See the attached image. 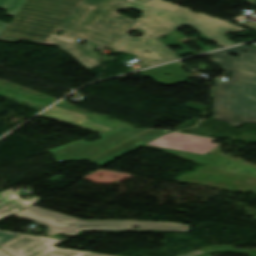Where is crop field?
Masks as SVG:
<instances>
[{
	"instance_id": "crop-field-1",
	"label": "crop field",
	"mask_w": 256,
	"mask_h": 256,
	"mask_svg": "<svg viewBox=\"0 0 256 256\" xmlns=\"http://www.w3.org/2000/svg\"><path fill=\"white\" fill-rule=\"evenodd\" d=\"M125 8L144 13L132 20L116 12ZM187 24L220 47L234 44L222 34L246 31L161 0H28L1 34L0 41L24 39L56 45L87 68L100 66L96 52L74 42L82 37L113 50L136 54L148 67L180 59L156 38ZM58 29L65 32L60 37L55 35ZM127 30L143 32V36L130 37Z\"/></svg>"
},
{
	"instance_id": "crop-field-2",
	"label": "crop field",
	"mask_w": 256,
	"mask_h": 256,
	"mask_svg": "<svg viewBox=\"0 0 256 256\" xmlns=\"http://www.w3.org/2000/svg\"><path fill=\"white\" fill-rule=\"evenodd\" d=\"M231 53L238 57L228 56ZM208 55L233 74L226 82L214 83L213 118L230 126L256 122V48L240 45Z\"/></svg>"
},
{
	"instance_id": "crop-field-3",
	"label": "crop field",
	"mask_w": 256,
	"mask_h": 256,
	"mask_svg": "<svg viewBox=\"0 0 256 256\" xmlns=\"http://www.w3.org/2000/svg\"><path fill=\"white\" fill-rule=\"evenodd\" d=\"M14 216L44 224L50 228L47 234L57 232L74 236L80 230H171L188 231V225L180 223L140 222V221H83L46 210L29 207ZM141 226V229H131Z\"/></svg>"
},
{
	"instance_id": "crop-field-4",
	"label": "crop field",
	"mask_w": 256,
	"mask_h": 256,
	"mask_svg": "<svg viewBox=\"0 0 256 256\" xmlns=\"http://www.w3.org/2000/svg\"><path fill=\"white\" fill-rule=\"evenodd\" d=\"M145 130L147 129H112L100 134V140L90 143L80 140L48 152L55 155L57 162L91 159Z\"/></svg>"
},
{
	"instance_id": "crop-field-5",
	"label": "crop field",
	"mask_w": 256,
	"mask_h": 256,
	"mask_svg": "<svg viewBox=\"0 0 256 256\" xmlns=\"http://www.w3.org/2000/svg\"><path fill=\"white\" fill-rule=\"evenodd\" d=\"M61 240L45 237L19 236L0 248L11 256H105L91 252L53 248Z\"/></svg>"
},
{
	"instance_id": "crop-field-6",
	"label": "crop field",
	"mask_w": 256,
	"mask_h": 256,
	"mask_svg": "<svg viewBox=\"0 0 256 256\" xmlns=\"http://www.w3.org/2000/svg\"><path fill=\"white\" fill-rule=\"evenodd\" d=\"M212 141V138L174 132L164 135L147 146L204 155L219 146V144L211 143Z\"/></svg>"
},
{
	"instance_id": "crop-field-7",
	"label": "crop field",
	"mask_w": 256,
	"mask_h": 256,
	"mask_svg": "<svg viewBox=\"0 0 256 256\" xmlns=\"http://www.w3.org/2000/svg\"><path fill=\"white\" fill-rule=\"evenodd\" d=\"M165 133L163 130H156V129H149L130 140L110 149L109 151L91 159L93 163L97 164L98 166H103L155 139L164 135ZM150 136H156L153 139H150Z\"/></svg>"
},
{
	"instance_id": "crop-field-8",
	"label": "crop field",
	"mask_w": 256,
	"mask_h": 256,
	"mask_svg": "<svg viewBox=\"0 0 256 256\" xmlns=\"http://www.w3.org/2000/svg\"><path fill=\"white\" fill-rule=\"evenodd\" d=\"M40 116H44V117H47V118H50V119H54V120H57V121H60V122H64V123H67V124H71V125H74V126H77V127H81V128L88 129V130L95 131V132H99V133H102L104 131L112 129V128H108V127H105V126H102V125L95 124V123L87 120L84 115H81V114H78V113H75V112H72V111H68V110H65V109H62V108H59V107H56V106L47 110L46 112H44ZM73 118L80 119V120H83L85 122L82 125H80L78 123L70 122Z\"/></svg>"
},
{
	"instance_id": "crop-field-9",
	"label": "crop field",
	"mask_w": 256,
	"mask_h": 256,
	"mask_svg": "<svg viewBox=\"0 0 256 256\" xmlns=\"http://www.w3.org/2000/svg\"><path fill=\"white\" fill-rule=\"evenodd\" d=\"M39 201H41L39 197L24 200L11 190L4 191L0 193V219L9 217Z\"/></svg>"
},
{
	"instance_id": "crop-field-10",
	"label": "crop field",
	"mask_w": 256,
	"mask_h": 256,
	"mask_svg": "<svg viewBox=\"0 0 256 256\" xmlns=\"http://www.w3.org/2000/svg\"><path fill=\"white\" fill-rule=\"evenodd\" d=\"M143 77L150 76L165 85L177 84L188 79L187 75L174 63L157 68L141 71Z\"/></svg>"
},
{
	"instance_id": "crop-field-11",
	"label": "crop field",
	"mask_w": 256,
	"mask_h": 256,
	"mask_svg": "<svg viewBox=\"0 0 256 256\" xmlns=\"http://www.w3.org/2000/svg\"><path fill=\"white\" fill-rule=\"evenodd\" d=\"M27 0H0V8L8 11L7 15L15 17ZM7 24L0 22V34L6 28Z\"/></svg>"
},
{
	"instance_id": "crop-field-12",
	"label": "crop field",
	"mask_w": 256,
	"mask_h": 256,
	"mask_svg": "<svg viewBox=\"0 0 256 256\" xmlns=\"http://www.w3.org/2000/svg\"><path fill=\"white\" fill-rule=\"evenodd\" d=\"M18 234L15 233H7V232H1L0 231V244L9 240L10 238L16 236Z\"/></svg>"
},
{
	"instance_id": "crop-field-13",
	"label": "crop field",
	"mask_w": 256,
	"mask_h": 256,
	"mask_svg": "<svg viewBox=\"0 0 256 256\" xmlns=\"http://www.w3.org/2000/svg\"><path fill=\"white\" fill-rule=\"evenodd\" d=\"M239 25L243 26V27H246V28H249V29L256 30V23L255 22L244 21V22H241Z\"/></svg>"
},
{
	"instance_id": "crop-field-14",
	"label": "crop field",
	"mask_w": 256,
	"mask_h": 256,
	"mask_svg": "<svg viewBox=\"0 0 256 256\" xmlns=\"http://www.w3.org/2000/svg\"><path fill=\"white\" fill-rule=\"evenodd\" d=\"M204 252L198 250V251H195V252H191V253H188V254H185V255H182V256H196V255H200V254H203Z\"/></svg>"
},
{
	"instance_id": "crop-field-15",
	"label": "crop field",
	"mask_w": 256,
	"mask_h": 256,
	"mask_svg": "<svg viewBox=\"0 0 256 256\" xmlns=\"http://www.w3.org/2000/svg\"><path fill=\"white\" fill-rule=\"evenodd\" d=\"M0 256H9V255L6 254L4 251L0 250Z\"/></svg>"
},
{
	"instance_id": "crop-field-16",
	"label": "crop field",
	"mask_w": 256,
	"mask_h": 256,
	"mask_svg": "<svg viewBox=\"0 0 256 256\" xmlns=\"http://www.w3.org/2000/svg\"><path fill=\"white\" fill-rule=\"evenodd\" d=\"M250 4L256 6V0H248Z\"/></svg>"
},
{
	"instance_id": "crop-field-17",
	"label": "crop field",
	"mask_w": 256,
	"mask_h": 256,
	"mask_svg": "<svg viewBox=\"0 0 256 256\" xmlns=\"http://www.w3.org/2000/svg\"><path fill=\"white\" fill-rule=\"evenodd\" d=\"M72 121H74V122H78V123H80V124H82V123H83V121H79V120H75V119H73Z\"/></svg>"
}]
</instances>
